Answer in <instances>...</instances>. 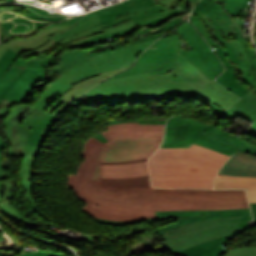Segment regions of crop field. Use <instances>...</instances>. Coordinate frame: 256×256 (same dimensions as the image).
<instances>
[{
    "instance_id": "8a807250",
    "label": "crop field",
    "mask_w": 256,
    "mask_h": 256,
    "mask_svg": "<svg viewBox=\"0 0 256 256\" xmlns=\"http://www.w3.org/2000/svg\"><path fill=\"white\" fill-rule=\"evenodd\" d=\"M101 143L89 137L77 174H68V189L87 204L89 215L115 221L156 217L155 211L249 208L244 190L151 188L149 175L103 178V164L146 161L163 140L164 125L122 123L107 126Z\"/></svg>"
},
{
    "instance_id": "ac0d7876",
    "label": "crop field",
    "mask_w": 256,
    "mask_h": 256,
    "mask_svg": "<svg viewBox=\"0 0 256 256\" xmlns=\"http://www.w3.org/2000/svg\"><path fill=\"white\" fill-rule=\"evenodd\" d=\"M228 158L194 144L190 149H159L149 160L153 186L212 188L219 167Z\"/></svg>"
},
{
    "instance_id": "34b2d1b8",
    "label": "crop field",
    "mask_w": 256,
    "mask_h": 256,
    "mask_svg": "<svg viewBox=\"0 0 256 256\" xmlns=\"http://www.w3.org/2000/svg\"><path fill=\"white\" fill-rule=\"evenodd\" d=\"M251 223V216L195 222L168 231L161 236L166 242L157 247L150 241L146 244L152 248L150 252L168 249L174 256H221L225 253L222 245L237 232L250 227Z\"/></svg>"
},
{
    "instance_id": "412701ff",
    "label": "crop field",
    "mask_w": 256,
    "mask_h": 256,
    "mask_svg": "<svg viewBox=\"0 0 256 256\" xmlns=\"http://www.w3.org/2000/svg\"><path fill=\"white\" fill-rule=\"evenodd\" d=\"M185 14L173 9L171 12L162 5L159 7L153 0H126L117 5L87 13L75 26L56 34L52 39L61 45L83 37L104 32L102 29L131 19L140 26L157 27L171 16Z\"/></svg>"
},
{
    "instance_id": "f4fd0767",
    "label": "crop field",
    "mask_w": 256,
    "mask_h": 256,
    "mask_svg": "<svg viewBox=\"0 0 256 256\" xmlns=\"http://www.w3.org/2000/svg\"><path fill=\"white\" fill-rule=\"evenodd\" d=\"M59 120L61 118L25 104L13 107L10 115L2 122L6 129L4 137L11 144L6 154L14 157L13 149L22 146L25 156L38 155L44 139Z\"/></svg>"
},
{
    "instance_id": "dd49c442",
    "label": "crop field",
    "mask_w": 256,
    "mask_h": 256,
    "mask_svg": "<svg viewBox=\"0 0 256 256\" xmlns=\"http://www.w3.org/2000/svg\"><path fill=\"white\" fill-rule=\"evenodd\" d=\"M129 83L132 89L110 93L114 104L155 99L163 95L188 98L197 94L224 110L232 105L205 87L199 90L186 83L170 82V74L130 79Z\"/></svg>"
},
{
    "instance_id": "e52e79f7",
    "label": "crop field",
    "mask_w": 256,
    "mask_h": 256,
    "mask_svg": "<svg viewBox=\"0 0 256 256\" xmlns=\"http://www.w3.org/2000/svg\"><path fill=\"white\" fill-rule=\"evenodd\" d=\"M19 56L16 52L8 48L6 53L0 58V117L3 118L8 113V106L24 102L28 95L37 87L39 82L45 77V68L36 62L29 61L23 70L13 81L2 79V75ZM1 147H5V142L0 140ZM8 169L0 154V179L7 175L3 170Z\"/></svg>"
},
{
    "instance_id": "d8731c3e",
    "label": "crop field",
    "mask_w": 256,
    "mask_h": 256,
    "mask_svg": "<svg viewBox=\"0 0 256 256\" xmlns=\"http://www.w3.org/2000/svg\"><path fill=\"white\" fill-rule=\"evenodd\" d=\"M155 40L91 56V59L72 67L62 76L73 85L83 79L98 76L100 72L131 66L141 52Z\"/></svg>"
},
{
    "instance_id": "5a996713",
    "label": "crop field",
    "mask_w": 256,
    "mask_h": 256,
    "mask_svg": "<svg viewBox=\"0 0 256 256\" xmlns=\"http://www.w3.org/2000/svg\"><path fill=\"white\" fill-rule=\"evenodd\" d=\"M150 48L138 58L137 63L132 68L108 79L136 75L146 71L150 75L171 73L178 51L181 48L177 31H171L161 37Z\"/></svg>"
},
{
    "instance_id": "3316defc",
    "label": "crop field",
    "mask_w": 256,
    "mask_h": 256,
    "mask_svg": "<svg viewBox=\"0 0 256 256\" xmlns=\"http://www.w3.org/2000/svg\"><path fill=\"white\" fill-rule=\"evenodd\" d=\"M179 32L193 49L187 52L180 50V54L213 80L224 68L218 57L211 50L205 40L199 35L190 22H184L178 27ZM188 30V32H186ZM201 46V48H199Z\"/></svg>"
},
{
    "instance_id": "28ad6ade",
    "label": "crop field",
    "mask_w": 256,
    "mask_h": 256,
    "mask_svg": "<svg viewBox=\"0 0 256 256\" xmlns=\"http://www.w3.org/2000/svg\"><path fill=\"white\" fill-rule=\"evenodd\" d=\"M226 50H222L218 45L215 46V52L218 54L220 60L223 62V64L226 67V71L223 72L218 78H216L217 81H219L221 84H223L228 89L232 90L234 93H236L238 96L242 97L247 92H249L248 89L245 88V86L240 85L236 82L237 72L235 71V67L242 69L244 72L243 75V81L249 83L256 92V78L252 74L250 75L247 71L246 65L243 63V60L241 58L239 49L237 45L235 44L234 40L223 43ZM214 48V47H213Z\"/></svg>"
},
{
    "instance_id": "d1516ede",
    "label": "crop field",
    "mask_w": 256,
    "mask_h": 256,
    "mask_svg": "<svg viewBox=\"0 0 256 256\" xmlns=\"http://www.w3.org/2000/svg\"><path fill=\"white\" fill-rule=\"evenodd\" d=\"M157 218L152 219H144L138 221H131V222H114L109 220H101L96 219L99 222H103L106 224H111L115 226L138 223L147 221L148 223L162 219L164 222L171 220L173 218L176 219L177 223L165 226L163 228L156 229L157 235L165 234L166 231L172 230L178 226L200 221V220H208L214 219L219 217H226V216H241V215H251L249 209H229V210H211V211H170V212H156Z\"/></svg>"
},
{
    "instance_id": "22f410ed",
    "label": "crop field",
    "mask_w": 256,
    "mask_h": 256,
    "mask_svg": "<svg viewBox=\"0 0 256 256\" xmlns=\"http://www.w3.org/2000/svg\"><path fill=\"white\" fill-rule=\"evenodd\" d=\"M205 126L197 120L175 116L167 121L164 143L160 148H189Z\"/></svg>"
},
{
    "instance_id": "cbeb9de0",
    "label": "crop field",
    "mask_w": 256,
    "mask_h": 256,
    "mask_svg": "<svg viewBox=\"0 0 256 256\" xmlns=\"http://www.w3.org/2000/svg\"><path fill=\"white\" fill-rule=\"evenodd\" d=\"M137 28H140L139 24H134L132 21L127 22L122 25L119 24L115 27L104 29L106 31L104 33L89 36L84 39L71 42L65 46H60L48 57L40 53V54L30 58L29 60L36 61V62L40 63L41 65L44 63H48L49 60L52 61L53 63H55V59L53 56L55 54H57L62 48H72V47H78V46L88 47L95 43L106 42V39H108L110 37H112L113 40H115L114 37H122V36L130 35V34H132V31H134Z\"/></svg>"
},
{
    "instance_id": "5142ce71",
    "label": "crop field",
    "mask_w": 256,
    "mask_h": 256,
    "mask_svg": "<svg viewBox=\"0 0 256 256\" xmlns=\"http://www.w3.org/2000/svg\"><path fill=\"white\" fill-rule=\"evenodd\" d=\"M84 15V14H83ZM78 16L74 18L67 19L68 22L61 24L59 26L49 28L45 31L41 30L38 33L28 37V38H19L14 40H9L0 44V57L4 54L7 48H11L17 53L21 54L23 52L29 51L33 48L39 47L41 44L49 40L50 36L56 32L63 31L66 28L77 23L78 20L83 16Z\"/></svg>"
},
{
    "instance_id": "d9b57169",
    "label": "crop field",
    "mask_w": 256,
    "mask_h": 256,
    "mask_svg": "<svg viewBox=\"0 0 256 256\" xmlns=\"http://www.w3.org/2000/svg\"><path fill=\"white\" fill-rule=\"evenodd\" d=\"M213 107V111L218 113V116L224 117L228 115L234 120L240 116L253 124L248 129L247 133L256 137V93L252 90L250 94L242 97L240 101L230 107L228 110L224 111L212 103L209 104Z\"/></svg>"
},
{
    "instance_id": "733c2abd",
    "label": "crop field",
    "mask_w": 256,
    "mask_h": 256,
    "mask_svg": "<svg viewBox=\"0 0 256 256\" xmlns=\"http://www.w3.org/2000/svg\"><path fill=\"white\" fill-rule=\"evenodd\" d=\"M221 6L217 0H201L193 10V15L198 16L204 21V24L210 30L213 38L218 39L221 43L226 42L222 34L218 12Z\"/></svg>"
},
{
    "instance_id": "4a817a6b",
    "label": "crop field",
    "mask_w": 256,
    "mask_h": 256,
    "mask_svg": "<svg viewBox=\"0 0 256 256\" xmlns=\"http://www.w3.org/2000/svg\"><path fill=\"white\" fill-rule=\"evenodd\" d=\"M187 16L175 19L169 23H167L166 25H164L163 27H161L160 29L151 32V33H147L144 34L142 36H137L134 37L132 39H123V40H119L115 43H111V44H105V45H97L91 48H86L89 56L91 55H95V54H99L102 52H106V51H110L113 49H117V48H121V47H125L134 43H138V42H142V41H146V40H151V39H155L160 37L162 34L173 30L174 28H176L180 23L184 22L187 19Z\"/></svg>"
},
{
    "instance_id": "bc2a9ffb",
    "label": "crop field",
    "mask_w": 256,
    "mask_h": 256,
    "mask_svg": "<svg viewBox=\"0 0 256 256\" xmlns=\"http://www.w3.org/2000/svg\"><path fill=\"white\" fill-rule=\"evenodd\" d=\"M171 81H181L193 85L199 89L207 85L211 80L200 70L178 54V58L171 73Z\"/></svg>"
},
{
    "instance_id": "214f88e0",
    "label": "crop field",
    "mask_w": 256,
    "mask_h": 256,
    "mask_svg": "<svg viewBox=\"0 0 256 256\" xmlns=\"http://www.w3.org/2000/svg\"><path fill=\"white\" fill-rule=\"evenodd\" d=\"M148 73H143L136 76L113 79L97 85L89 90L85 95L91 104H113L108 92L130 88L127 79L147 76Z\"/></svg>"
},
{
    "instance_id": "92a150f3",
    "label": "crop field",
    "mask_w": 256,
    "mask_h": 256,
    "mask_svg": "<svg viewBox=\"0 0 256 256\" xmlns=\"http://www.w3.org/2000/svg\"><path fill=\"white\" fill-rule=\"evenodd\" d=\"M219 174L256 177V156L237 151L223 165Z\"/></svg>"
},
{
    "instance_id": "dafd665d",
    "label": "crop field",
    "mask_w": 256,
    "mask_h": 256,
    "mask_svg": "<svg viewBox=\"0 0 256 256\" xmlns=\"http://www.w3.org/2000/svg\"><path fill=\"white\" fill-rule=\"evenodd\" d=\"M71 88H73L72 85L60 76L39 96L32 107L45 111L55 100Z\"/></svg>"
},
{
    "instance_id": "00972430",
    "label": "crop field",
    "mask_w": 256,
    "mask_h": 256,
    "mask_svg": "<svg viewBox=\"0 0 256 256\" xmlns=\"http://www.w3.org/2000/svg\"><path fill=\"white\" fill-rule=\"evenodd\" d=\"M214 188H247L250 202H256V178L218 175Z\"/></svg>"
},
{
    "instance_id": "a9b5d70f",
    "label": "crop field",
    "mask_w": 256,
    "mask_h": 256,
    "mask_svg": "<svg viewBox=\"0 0 256 256\" xmlns=\"http://www.w3.org/2000/svg\"><path fill=\"white\" fill-rule=\"evenodd\" d=\"M146 174H149L146 162L104 165V177H132Z\"/></svg>"
},
{
    "instance_id": "4177f3b9",
    "label": "crop field",
    "mask_w": 256,
    "mask_h": 256,
    "mask_svg": "<svg viewBox=\"0 0 256 256\" xmlns=\"http://www.w3.org/2000/svg\"><path fill=\"white\" fill-rule=\"evenodd\" d=\"M202 133H205L209 136L218 138L230 145L238 147V148H240L239 151H241V152L256 155V146L251 145V143H248L235 135L226 133V132H224V130L219 129V128L215 127L214 125L207 126L202 131Z\"/></svg>"
},
{
    "instance_id": "730fd06b",
    "label": "crop field",
    "mask_w": 256,
    "mask_h": 256,
    "mask_svg": "<svg viewBox=\"0 0 256 256\" xmlns=\"http://www.w3.org/2000/svg\"><path fill=\"white\" fill-rule=\"evenodd\" d=\"M100 83V82H98ZM94 83L91 85H87L78 89H71L66 94H64L62 97H60L56 102H54L47 110L46 112L58 115L61 113L65 108L73 104L83 93H85L89 88L92 86L98 84Z\"/></svg>"
},
{
    "instance_id": "eef30255",
    "label": "crop field",
    "mask_w": 256,
    "mask_h": 256,
    "mask_svg": "<svg viewBox=\"0 0 256 256\" xmlns=\"http://www.w3.org/2000/svg\"><path fill=\"white\" fill-rule=\"evenodd\" d=\"M85 49H75L73 51H64L58 56L60 61L57 66L52 67L56 72L62 73L63 71L69 69L71 66L78 64L82 61L89 59Z\"/></svg>"
},
{
    "instance_id": "ae1a2a85",
    "label": "crop field",
    "mask_w": 256,
    "mask_h": 256,
    "mask_svg": "<svg viewBox=\"0 0 256 256\" xmlns=\"http://www.w3.org/2000/svg\"><path fill=\"white\" fill-rule=\"evenodd\" d=\"M238 41L235 40L238 45L241 55L243 57L244 63H246L249 73H254L256 76V51L251 48L250 43L242 35V32L236 25Z\"/></svg>"
},
{
    "instance_id": "d3111659",
    "label": "crop field",
    "mask_w": 256,
    "mask_h": 256,
    "mask_svg": "<svg viewBox=\"0 0 256 256\" xmlns=\"http://www.w3.org/2000/svg\"><path fill=\"white\" fill-rule=\"evenodd\" d=\"M194 144L203 146L205 148L211 149L213 151L226 154L231 156L234 152L238 150V148H235L233 146L227 145L215 138L206 136L202 133L195 139Z\"/></svg>"
},
{
    "instance_id": "750c4746",
    "label": "crop field",
    "mask_w": 256,
    "mask_h": 256,
    "mask_svg": "<svg viewBox=\"0 0 256 256\" xmlns=\"http://www.w3.org/2000/svg\"><path fill=\"white\" fill-rule=\"evenodd\" d=\"M219 18L221 20V26L223 28L225 38L228 41L232 40L231 34L236 33L235 23L232 22L228 14H226L223 9H221L219 12Z\"/></svg>"
},
{
    "instance_id": "bd1437ed",
    "label": "crop field",
    "mask_w": 256,
    "mask_h": 256,
    "mask_svg": "<svg viewBox=\"0 0 256 256\" xmlns=\"http://www.w3.org/2000/svg\"><path fill=\"white\" fill-rule=\"evenodd\" d=\"M206 87L212 90L213 92H215L216 94L220 95L221 97H223L224 99H226L232 104L235 103L237 100H239V97L230 93L228 90H226L223 86H221L219 83L215 81L209 83Z\"/></svg>"
},
{
    "instance_id": "1d83c4d3",
    "label": "crop field",
    "mask_w": 256,
    "mask_h": 256,
    "mask_svg": "<svg viewBox=\"0 0 256 256\" xmlns=\"http://www.w3.org/2000/svg\"><path fill=\"white\" fill-rule=\"evenodd\" d=\"M190 21L197 27V29L200 31L201 35L205 38V40L210 44V46L216 45V43L212 40V36L209 32V30L206 28V26L203 24L202 20H200L198 17L193 16L191 14Z\"/></svg>"
},
{
    "instance_id": "120bbe31",
    "label": "crop field",
    "mask_w": 256,
    "mask_h": 256,
    "mask_svg": "<svg viewBox=\"0 0 256 256\" xmlns=\"http://www.w3.org/2000/svg\"><path fill=\"white\" fill-rule=\"evenodd\" d=\"M28 60L17 58L12 66L6 71L2 78L13 80L14 77L22 70Z\"/></svg>"
},
{
    "instance_id": "d32e631a",
    "label": "crop field",
    "mask_w": 256,
    "mask_h": 256,
    "mask_svg": "<svg viewBox=\"0 0 256 256\" xmlns=\"http://www.w3.org/2000/svg\"><path fill=\"white\" fill-rule=\"evenodd\" d=\"M169 117H159V118H140L138 120H130V121H117V122H110L107 121L106 124H116V123H122V122H139V123H152V124H165V120L168 119Z\"/></svg>"
},
{
    "instance_id": "5866460e",
    "label": "crop field",
    "mask_w": 256,
    "mask_h": 256,
    "mask_svg": "<svg viewBox=\"0 0 256 256\" xmlns=\"http://www.w3.org/2000/svg\"><path fill=\"white\" fill-rule=\"evenodd\" d=\"M125 69H127V68H125ZM122 70H124V69L101 73L100 76L84 80V81L74 85V87L78 88V87H81V86H84V85H87V84H91V83H94V82H97V81H101V80H103V79H105L109 76H112V75H114V74H116V73H118Z\"/></svg>"
},
{
    "instance_id": "028f5c9d",
    "label": "crop field",
    "mask_w": 256,
    "mask_h": 256,
    "mask_svg": "<svg viewBox=\"0 0 256 256\" xmlns=\"http://www.w3.org/2000/svg\"><path fill=\"white\" fill-rule=\"evenodd\" d=\"M223 256H256V247L237 248Z\"/></svg>"
},
{
    "instance_id": "e1f06a70",
    "label": "crop field",
    "mask_w": 256,
    "mask_h": 256,
    "mask_svg": "<svg viewBox=\"0 0 256 256\" xmlns=\"http://www.w3.org/2000/svg\"><path fill=\"white\" fill-rule=\"evenodd\" d=\"M55 43L56 42L51 39L50 41H48L47 44L43 45L42 47H40L38 49H35V50H33V51L29 52V53H25V54H23L21 56L30 58V57H32V56H34V55H36V54H38L40 52H45L49 48L53 47Z\"/></svg>"
},
{
    "instance_id": "0bd39190",
    "label": "crop field",
    "mask_w": 256,
    "mask_h": 256,
    "mask_svg": "<svg viewBox=\"0 0 256 256\" xmlns=\"http://www.w3.org/2000/svg\"><path fill=\"white\" fill-rule=\"evenodd\" d=\"M242 0H224L223 6L225 10L231 15L232 12L237 8Z\"/></svg>"
},
{
    "instance_id": "b80d0937",
    "label": "crop field",
    "mask_w": 256,
    "mask_h": 256,
    "mask_svg": "<svg viewBox=\"0 0 256 256\" xmlns=\"http://www.w3.org/2000/svg\"><path fill=\"white\" fill-rule=\"evenodd\" d=\"M22 256H63V254L39 250L38 252H25Z\"/></svg>"
},
{
    "instance_id": "c035e120",
    "label": "crop field",
    "mask_w": 256,
    "mask_h": 256,
    "mask_svg": "<svg viewBox=\"0 0 256 256\" xmlns=\"http://www.w3.org/2000/svg\"><path fill=\"white\" fill-rule=\"evenodd\" d=\"M168 10H172L181 0H158ZM167 4V6H165Z\"/></svg>"
},
{
    "instance_id": "c21b1889",
    "label": "crop field",
    "mask_w": 256,
    "mask_h": 256,
    "mask_svg": "<svg viewBox=\"0 0 256 256\" xmlns=\"http://www.w3.org/2000/svg\"><path fill=\"white\" fill-rule=\"evenodd\" d=\"M248 0H243V2L238 6V8L233 12V16H238V14L245 8Z\"/></svg>"
},
{
    "instance_id": "03da06ac",
    "label": "crop field",
    "mask_w": 256,
    "mask_h": 256,
    "mask_svg": "<svg viewBox=\"0 0 256 256\" xmlns=\"http://www.w3.org/2000/svg\"><path fill=\"white\" fill-rule=\"evenodd\" d=\"M178 7L184 8V9H183V12H186V13H187V10H188V7H189V3H188L187 0H182V2L179 3Z\"/></svg>"
},
{
    "instance_id": "b54c1fbb",
    "label": "crop field",
    "mask_w": 256,
    "mask_h": 256,
    "mask_svg": "<svg viewBox=\"0 0 256 256\" xmlns=\"http://www.w3.org/2000/svg\"><path fill=\"white\" fill-rule=\"evenodd\" d=\"M250 205H251L254 221H255V224H256V203H250Z\"/></svg>"
},
{
    "instance_id": "5d738f31",
    "label": "crop field",
    "mask_w": 256,
    "mask_h": 256,
    "mask_svg": "<svg viewBox=\"0 0 256 256\" xmlns=\"http://www.w3.org/2000/svg\"><path fill=\"white\" fill-rule=\"evenodd\" d=\"M178 33H179V32H178ZM179 36H180V38H181L182 41H183V47H182V49H185V50H188V51L192 50V49L189 47V45L186 43V41L183 39V37L180 35V33H179Z\"/></svg>"
},
{
    "instance_id": "d23c7cc5",
    "label": "crop field",
    "mask_w": 256,
    "mask_h": 256,
    "mask_svg": "<svg viewBox=\"0 0 256 256\" xmlns=\"http://www.w3.org/2000/svg\"><path fill=\"white\" fill-rule=\"evenodd\" d=\"M93 136L96 137L97 139H99L103 143L107 142V140L100 133L93 135Z\"/></svg>"
},
{
    "instance_id": "425ffa30",
    "label": "crop field",
    "mask_w": 256,
    "mask_h": 256,
    "mask_svg": "<svg viewBox=\"0 0 256 256\" xmlns=\"http://www.w3.org/2000/svg\"><path fill=\"white\" fill-rule=\"evenodd\" d=\"M64 22H66V20H65V21H61V22H58V23H55V24H52V25H49V26H46V27L43 28V30L46 29V28L53 27V26H56V25H58V24L64 23Z\"/></svg>"
},
{
    "instance_id": "25e5ab78",
    "label": "crop field",
    "mask_w": 256,
    "mask_h": 256,
    "mask_svg": "<svg viewBox=\"0 0 256 256\" xmlns=\"http://www.w3.org/2000/svg\"><path fill=\"white\" fill-rule=\"evenodd\" d=\"M49 70V72H50V76H49V80H48V82L49 81H51L52 80V77H53V74H54V70H52V69H48Z\"/></svg>"
},
{
    "instance_id": "73cf0c24",
    "label": "crop field",
    "mask_w": 256,
    "mask_h": 256,
    "mask_svg": "<svg viewBox=\"0 0 256 256\" xmlns=\"http://www.w3.org/2000/svg\"><path fill=\"white\" fill-rule=\"evenodd\" d=\"M253 39L256 40V22H255L254 28H253Z\"/></svg>"
},
{
    "instance_id": "89e229c0",
    "label": "crop field",
    "mask_w": 256,
    "mask_h": 256,
    "mask_svg": "<svg viewBox=\"0 0 256 256\" xmlns=\"http://www.w3.org/2000/svg\"><path fill=\"white\" fill-rule=\"evenodd\" d=\"M1 187H2V184L0 183V203L4 201V200L2 199V196H1Z\"/></svg>"
},
{
    "instance_id": "1f2cbd36",
    "label": "crop field",
    "mask_w": 256,
    "mask_h": 256,
    "mask_svg": "<svg viewBox=\"0 0 256 256\" xmlns=\"http://www.w3.org/2000/svg\"><path fill=\"white\" fill-rule=\"evenodd\" d=\"M175 9H178V10L182 11V9H181V8H177V7H175Z\"/></svg>"
},
{
    "instance_id": "dbb93151",
    "label": "crop field",
    "mask_w": 256,
    "mask_h": 256,
    "mask_svg": "<svg viewBox=\"0 0 256 256\" xmlns=\"http://www.w3.org/2000/svg\"><path fill=\"white\" fill-rule=\"evenodd\" d=\"M223 0H220V3L222 4Z\"/></svg>"
},
{
    "instance_id": "0fb4a251",
    "label": "crop field",
    "mask_w": 256,
    "mask_h": 256,
    "mask_svg": "<svg viewBox=\"0 0 256 256\" xmlns=\"http://www.w3.org/2000/svg\"><path fill=\"white\" fill-rule=\"evenodd\" d=\"M256 42V41H255Z\"/></svg>"
}]
</instances>
